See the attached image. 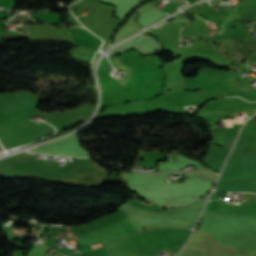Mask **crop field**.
<instances>
[{
    "instance_id": "8a807250",
    "label": "crop field",
    "mask_w": 256,
    "mask_h": 256,
    "mask_svg": "<svg viewBox=\"0 0 256 256\" xmlns=\"http://www.w3.org/2000/svg\"><path fill=\"white\" fill-rule=\"evenodd\" d=\"M96 247H100V245L99 244L92 245V248H96Z\"/></svg>"
},
{
    "instance_id": "ac0d7876",
    "label": "crop field",
    "mask_w": 256,
    "mask_h": 256,
    "mask_svg": "<svg viewBox=\"0 0 256 256\" xmlns=\"http://www.w3.org/2000/svg\"><path fill=\"white\" fill-rule=\"evenodd\" d=\"M119 82V81H118ZM119 83H121V82H119Z\"/></svg>"
}]
</instances>
